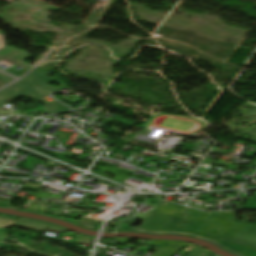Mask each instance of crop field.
I'll use <instances>...</instances> for the list:
<instances>
[{"label": "crop field", "instance_id": "obj_1", "mask_svg": "<svg viewBox=\"0 0 256 256\" xmlns=\"http://www.w3.org/2000/svg\"><path fill=\"white\" fill-rule=\"evenodd\" d=\"M234 214L214 213L196 237L212 240L239 256H256V225L233 222Z\"/></svg>", "mask_w": 256, "mask_h": 256}, {"label": "crop field", "instance_id": "obj_2", "mask_svg": "<svg viewBox=\"0 0 256 256\" xmlns=\"http://www.w3.org/2000/svg\"><path fill=\"white\" fill-rule=\"evenodd\" d=\"M211 214L163 202L138 232L195 236Z\"/></svg>", "mask_w": 256, "mask_h": 256}, {"label": "crop field", "instance_id": "obj_3", "mask_svg": "<svg viewBox=\"0 0 256 256\" xmlns=\"http://www.w3.org/2000/svg\"><path fill=\"white\" fill-rule=\"evenodd\" d=\"M24 80L13 85L18 88L24 89L32 94H34L36 97L40 98L42 96L48 95L50 93L56 92L60 90L61 88L65 87V83L60 81L59 79L53 77L49 79L46 76V73L35 69L33 72L28 74ZM52 81H58L62 85L59 88L52 89L48 86L49 83Z\"/></svg>", "mask_w": 256, "mask_h": 256}, {"label": "crop field", "instance_id": "obj_4", "mask_svg": "<svg viewBox=\"0 0 256 256\" xmlns=\"http://www.w3.org/2000/svg\"><path fill=\"white\" fill-rule=\"evenodd\" d=\"M15 226L32 229V230H38V231H44L47 228L51 231L67 232V229H64L46 222L25 219V218H21L18 222H16Z\"/></svg>", "mask_w": 256, "mask_h": 256}, {"label": "crop field", "instance_id": "obj_5", "mask_svg": "<svg viewBox=\"0 0 256 256\" xmlns=\"http://www.w3.org/2000/svg\"><path fill=\"white\" fill-rule=\"evenodd\" d=\"M186 245H188V243L168 241L164 246H162L152 256H174L177 252H179L181 249H183Z\"/></svg>", "mask_w": 256, "mask_h": 256}, {"label": "crop field", "instance_id": "obj_6", "mask_svg": "<svg viewBox=\"0 0 256 256\" xmlns=\"http://www.w3.org/2000/svg\"><path fill=\"white\" fill-rule=\"evenodd\" d=\"M99 223V220L82 217L78 225L88 229L95 230Z\"/></svg>", "mask_w": 256, "mask_h": 256}, {"label": "crop field", "instance_id": "obj_7", "mask_svg": "<svg viewBox=\"0 0 256 256\" xmlns=\"http://www.w3.org/2000/svg\"><path fill=\"white\" fill-rule=\"evenodd\" d=\"M73 242L75 243H79V244H88V245H91L92 243V238L90 236H85V235H81V234H78L76 236V239L73 240Z\"/></svg>", "mask_w": 256, "mask_h": 256}, {"label": "crop field", "instance_id": "obj_8", "mask_svg": "<svg viewBox=\"0 0 256 256\" xmlns=\"http://www.w3.org/2000/svg\"><path fill=\"white\" fill-rule=\"evenodd\" d=\"M15 222V220L0 218V227L12 226Z\"/></svg>", "mask_w": 256, "mask_h": 256}, {"label": "crop field", "instance_id": "obj_9", "mask_svg": "<svg viewBox=\"0 0 256 256\" xmlns=\"http://www.w3.org/2000/svg\"><path fill=\"white\" fill-rule=\"evenodd\" d=\"M6 47L5 45V40H4V35L2 33V31H0V49Z\"/></svg>", "mask_w": 256, "mask_h": 256}, {"label": "crop field", "instance_id": "obj_10", "mask_svg": "<svg viewBox=\"0 0 256 256\" xmlns=\"http://www.w3.org/2000/svg\"><path fill=\"white\" fill-rule=\"evenodd\" d=\"M5 84H7V83H5V82H3V81L0 80V87L3 86V85H5Z\"/></svg>", "mask_w": 256, "mask_h": 256}, {"label": "crop field", "instance_id": "obj_11", "mask_svg": "<svg viewBox=\"0 0 256 256\" xmlns=\"http://www.w3.org/2000/svg\"><path fill=\"white\" fill-rule=\"evenodd\" d=\"M1 1L12 3L14 0H1Z\"/></svg>", "mask_w": 256, "mask_h": 256}]
</instances>
